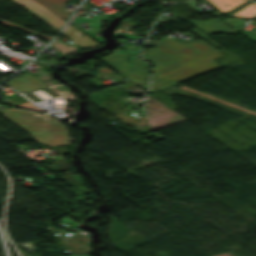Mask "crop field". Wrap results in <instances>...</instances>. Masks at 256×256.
<instances>
[{
  "label": "crop field",
  "instance_id": "crop-field-2",
  "mask_svg": "<svg viewBox=\"0 0 256 256\" xmlns=\"http://www.w3.org/2000/svg\"><path fill=\"white\" fill-rule=\"evenodd\" d=\"M125 51L114 52L99 59L120 75L145 89L148 86V64L138 57L141 48L125 45Z\"/></svg>",
  "mask_w": 256,
  "mask_h": 256
},
{
  "label": "crop field",
  "instance_id": "crop-field-8",
  "mask_svg": "<svg viewBox=\"0 0 256 256\" xmlns=\"http://www.w3.org/2000/svg\"><path fill=\"white\" fill-rule=\"evenodd\" d=\"M137 25L138 24L136 22L127 18L121 22V24L116 28V30L126 32L121 37L136 39L139 35H143L140 34L142 31L141 29L136 30L137 32L130 31L131 28L137 27Z\"/></svg>",
  "mask_w": 256,
  "mask_h": 256
},
{
  "label": "crop field",
  "instance_id": "crop-field-7",
  "mask_svg": "<svg viewBox=\"0 0 256 256\" xmlns=\"http://www.w3.org/2000/svg\"><path fill=\"white\" fill-rule=\"evenodd\" d=\"M44 7L55 13L56 15L67 19L70 14L64 11L61 7L65 4L68 0H36Z\"/></svg>",
  "mask_w": 256,
  "mask_h": 256
},
{
  "label": "crop field",
  "instance_id": "crop-field-3",
  "mask_svg": "<svg viewBox=\"0 0 256 256\" xmlns=\"http://www.w3.org/2000/svg\"><path fill=\"white\" fill-rule=\"evenodd\" d=\"M227 16L252 18L256 16V3L247 0H208Z\"/></svg>",
  "mask_w": 256,
  "mask_h": 256
},
{
  "label": "crop field",
  "instance_id": "crop-field-1",
  "mask_svg": "<svg viewBox=\"0 0 256 256\" xmlns=\"http://www.w3.org/2000/svg\"><path fill=\"white\" fill-rule=\"evenodd\" d=\"M192 31L217 49L222 47L199 30L192 29ZM152 45L156 47L142 53V57L156 65L152 68V85L149 92L159 91L217 68L219 65L213 59L223 56L203 40L179 43L168 37Z\"/></svg>",
  "mask_w": 256,
  "mask_h": 256
},
{
  "label": "crop field",
  "instance_id": "crop-field-4",
  "mask_svg": "<svg viewBox=\"0 0 256 256\" xmlns=\"http://www.w3.org/2000/svg\"><path fill=\"white\" fill-rule=\"evenodd\" d=\"M30 13H32L34 16L51 26L56 31H60V29L65 24V20L62 18L56 16L46 8H44L42 5L37 3L34 0H12Z\"/></svg>",
  "mask_w": 256,
  "mask_h": 256
},
{
  "label": "crop field",
  "instance_id": "crop-field-6",
  "mask_svg": "<svg viewBox=\"0 0 256 256\" xmlns=\"http://www.w3.org/2000/svg\"><path fill=\"white\" fill-rule=\"evenodd\" d=\"M71 41L79 45L81 48L98 46L100 44L90 40L84 33L74 28L72 25H68L62 33Z\"/></svg>",
  "mask_w": 256,
  "mask_h": 256
},
{
  "label": "crop field",
  "instance_id": "crop-field-9",
  "mask_svg": "<svg viewBox=\"0 0 256 256\" xmlns=\"http://www.w3.org/2000/svg\"><path fill=\"white\" fill-rule=\"evenodd\" d=\"M69 256H88V255H69Z\"/></svg>",
  "mask_w": 256,
  "mask_h": 256
},
{
  "label": "crop field",
  "instance_id": "crop-field-5",
  "mask_svg": "<svg viewBox=\"0 0 256 256\" xmlns=\"http://www.w3.org/2000/svg\"><path fill=\"white\" fill-rule=\"evenodd\" d=\"M188 21L207 34L219 33V32L229 34V33L236 32L235 30H233L232 28H230L229 26H227L226 24H224L218 19H212L208 21H191V20H188Z\"/></svg>",
  "mask_w": 256,
  "mask_h": 256
}]
</instances>
